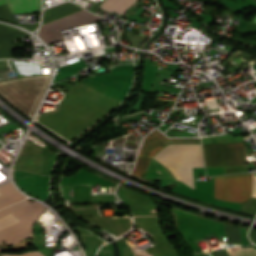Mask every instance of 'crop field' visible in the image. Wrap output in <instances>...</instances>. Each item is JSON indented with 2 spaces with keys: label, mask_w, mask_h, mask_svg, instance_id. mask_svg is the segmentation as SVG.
I'll use <instances>...</instances> for the list:
<instances>
[{
  "label": "crop field",
  "mask_w": 256,
  "mask_h": 256,
  "mask_svg": "<svg viewBox=\"0 0 256 256\" xmlns=\"http://www.w3.org/2000/svg\"><path fill=\"white\" fill-rule=\"evenodd\" d=\"M45 208L35 202L29 203L26 200L16 203L0 211V217L12 213L21 222L0 231V242L12 245L32 235V223L38 218Z\"/></svg>",
  "instance_id": "f4fd0767"
},
{
  "label": "crop field",
  "mask_w": 256,
  "mask_h": 256,
  "mask_svg": "<svg viewBox=\"0 0 256 256\" xmlns=\"http://www.w3.org/2000/svg\"><path fill=\"white\" fill-rule=\"evenodd\" d=\"M206 167L243 166L241 142L202 145Z\"/></svg>",
  "instance_id": "e52e79f7"
},
{
  "label": "crop field",
  "mask_w": 256,
  "mask_h": 256,
  "mask_svg": "<svg viewBox=\"0 0 256 256\" xmlns=\"http://www.w3.org/2000/svg\"><path fill=\"white\" fill-rule=\"evenodd\" d=\"M132 79H85L59 105L39 114L38 121L71 140L119 104Z\"/></svg>",
  "instance_id": "8a807250"
},
{
  "label": "crop field",
  "mask_w": 256,
  "mask_h": 256,
  "mask_svg": "<svg viewBox=\"0 0 256 256\" xmlns=\"http://www.w3.org/2000/svg\"><path fill=\"white\" fill-rule=\"evenodd\" d=\"M80 10L82 9L69 2L50 8L44 11L42 25ZM98 19H100V17L82 10L80 12L43 25L39 32V37L42 38L47 44H49L63 39L59 30L86 24Z\"/></svg>",
  "instance_id": "412701ff"
},
{
  "label": "crop field",
  "mask_w": 256,
  "mask_h": 256,
  "mask_svg": "<svg viewBox=\"0 0 256 256\" xmlns=\"http://www.w3.org/2000/svg\"><path fill=\"white\" fill-rule=\"evenodd\" d=\"M231 256H256L253 248H227Z\"/></svg>",
  "instance_id": "d1516ede"
},
{
  "label": "crop field",
  "mask_w": 256,
  "mask_h": 256,
  "mask_svg": "<svg viewBox=\"0 0 256 256\" xmlns=\"http://www.w3.org/2000/svg\"><path fill=\"white\" fill-rule=\"evenodd\" d=\"M151 134L166 145L200 143L198 139H167L157 130L153 131ZM153 158L169 168L177 180L192 188V167H204L200 144L168 145Z\"/></svg>",
  "instance_id": "ac0d7876"
},
{
  "label": "crop field",
  "mask_w": 256,
  "mask_h": 256,
  "mask_svg": "<svg viewBox=\"0 0 256 256\" xmlns=\"http://www.w3.org/2000/svg\"><path fill=\"white\" fill-rule=\"evenodd\" d=\"M3 4L7 5L12 14L40 11V0H0V5Z\"/></svg>",
  "instance_id": "d8731c3e"
},
{
  "label": "crop field",
  "mask_w": 256,
  "mask_h": 256,
  "mask_svg": "<svg viewBox=\"0 0 256 256\" xmlns=\"http://www.w3.org/2000/svg\"><path fill=\"white\" fill-rule=\"evenodd\" d=\"M252 22H256V17H254V18L252 19Z\"/></svg>",
  "instance_id": "d9b57169"
},
{
  "label": "crop field",
  "mask_w": 256,
  "mask_h": 256,
  "mask_svg": "<svg viewBox=\"0 0 256 256\" xmlns=\"http://www.w3.org/2000/svg\"><path fill=\"white\" fill-rule=\"evenodd\" d=\"M253 173L252 198L256 197ZM252 173L214 177V198L243 203L251 199Z\"/></svg>",
  "instance_id": "dd49c442"
},
{
  "label": "crop field",
  "mask_w": 256,
  "mask_h": 256,
  "mask_svg": "<svg viewBox=\"0 0 256 256\" xmlns=\"http://www.w3.org/2000/svg\"><path fill=\"white\" fill-rule=\"evenodd\" d=\"M4 66H7L6 61H0V67H4Z\"/></svg>",
  "instance_id": "5142ce71"
},
{
  "label": "crop field",
  "mask_w": 256,
  "mask_h": 256,
  "mask_svg": "<svg viewBox=\"0 0 256 256\" xmlns=\"http://www.w3.org/2000/svg\"><path fill=\"white\" fill-rule=\"evenodd\" d=\"M2 256H44V255L41 254L39 251H35V252H28V253H22V254H5Z\"/></svg>",
  "instance_id": "cbeb9de0"
},
{
  "label": "crop field",
  "mask_w": 256,
  "mask_h": 256,
  "mask_svg": "<svg viewBox=\"0 0 256 256\" xmlns=\"http://www.w3.org/2000/svg\"><path fill=\"white\" fill-rule=\"evenodd\" d=\"M0 193L2 194L0 195V209L24 199L9 182L0 186Z\"/></svg>",
  "instance_id": "5a996713"
},
{
  "label": "crop field",
  "mask_w": 256,
  "mask_h": 256,
  "mask_svg": "<svg viewBox=\"0 0 256 256\" xmlns=\"http://www.w3.org/2000/svg\"><path fill=\"white\" fill-rule=\"evenodd\" d=\"M17 222L19 220L10 213L0 219V230Z\"/></svg>",
  "instance_id": "22f410ed"
},
{
  "label": "crop field",
  "mask_w": 256,
  "mask_h": 256,
  "mask_svg": "<svg viewBox=\"0 0 256 256\" xmlns=\"http://www.w3.org/2000/svg\"><path fill=\"white\" fill-rule=\"evenodd\" d=\"M134 2L135 0H105L99 8H103L110 13L115 11L122 15V13Z\"/></svg>",
  "instance_id": "3316defc"
},
{
  "label": "crop field",
  "mask_w": 256,
  "mask_h": 256,
  "mask_svg": "<svg viewBox=\"0 0 256 256\" xmlns=\"http://www.w3.org/2000/svg\"><path fill=\"white\" fill-rule=\"evenodd\" d=\"M151 158L138 157L137 165L133 170V174L142 178Z\"/></svg>",
  "instance_id": "28ad6ade"
},
{
  "label": "crop field",
  "mask_w": 256,
  "mask_h": 256,
  "mask_svg": "<svg viewBox=\"0 0 256 256\" xmlns=\"http://www.w3.org/2000/svg\"><path fill=\"white\" fill-rule=\"evenodd\" d=\"M49 77L50 75H44L2 81L0 95L30 118Z\"/></svg>",
  "instance_id": "34b2d1b8"
}]
</instances>
